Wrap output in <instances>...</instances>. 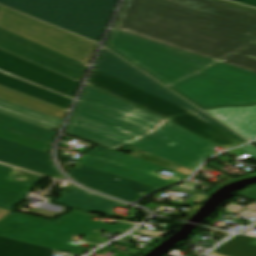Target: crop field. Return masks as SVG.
<instances>
[{"instance_id": "8a807250", "label": "crop field", "mask_w": 256, "mask_h": 256, "mask_svg": "<svg viewBox=\"0 0 256 256\" xmlns=\"http://www.w3.org/2000/svg\"><path fill=\"white\" fill-rule=\"evenodd\" d=\"M112 29L217 61L256 41V12L215 0H125Z\"/></svg>"}, {"instance_id": "ac0d7876", "label": "crop field", "mask_w": 256, "mask_h": 256, "mask_svg": "<svg viewBox=\"0 0 256 256\" xmlns=\"http://www.w3.org/2000/svg\"><path fill=\"white\" fill-rule=\"evenodd\" d=\"M164 120L87 86L66 134L114 151L129 143L192 170L216 154L217 146L168 120L132 142Z\"/></svg>"}, {"instance_id": "34b2d1b8", "label": "crop field", "mask_w": 256, "mask_h": 256, "mask_svg": "<svg viewBox=\"0 0 256 256\" xmlns=\"http://www.w3.org/2000/svg\"><path fill=\"white\" fill-rule=\"evenodd\" d=\"M90 217V213L76 211L53 223L19 214H8L0 221V236L81 255L88 249L67 244L76 236L81 235L86 241L100 244L101 242L90 240L98 232L122 234L134 225L122 222L116 226L97 223L88 220Z\"/></svg>"}, {"instance_id": "412701ff", "label": "crop field", "mask_w": 256, "mask_h": 256, "mask_svg": "<svg viewBox=\"0 0 256 256\" xmlns=\"http://www.w3.org/2000/svg\"><path fill=\"white\" fill-rule=\"evenodd\" d=\"M117 1L0 0V4L99 42Z\"/></svg>"}, {"instance_id": "f4fd0767", "label": "crop field", "mask_w": 256, "mask_h": 256, "mask_svg": "<svg viewBox=\"0 0 256 256\" xmlns=\"http://www.w3.org/2000/svg\"><path fill=\"white\" fill-rule=\"evenodd\" d=\"M171 87L204 109L256 104V74L221 63Z\"/></svg>"}, {"instance_id": "dd49c442", "label": "crop field", "mask_w": 256, "mask_h": 256, "mask_svg": "<svg viewBox=\"0 0 256 256\" xmlns=\"http://www.w3.org/2000/svg\"><path fill=\"white\" fill-rule=\"evenodd\" d=\"M86 85L168 119L224 149L244 144L234 137L200 120L194 113L95 69H93Z\"/></svg>"}, {"instance_id": "e52e79f7", "label": "crop field", "mask_w": 256, "mask_h": 256, "mask_svg": "<svg viewBox=\"0 0 256 256\" xmlns=\"http://www.w3.org/2000/svg\"><path fill=\"white\" fill-rule=\"evenodd\" d=\"M105 46L166 85L215 62L113 30Z\"/></svg>"}, {"instance_id": "d8731c3e", "label": "crop field", "mask_w": 256, "mask_h": 256, "mask_svg": "<svg viewBox=\"0 0 256 256\" xmlns=\"http://www.w3.org/2000/svg\"><path fill=\"white\" fill-rule=\"evenodd\" d=\"M0 28L88 65L97 44L0 7Z\"/></svg>"}, {"instance_id": "5a996713", "label": "crop field", "mask_w": 256, "mask_h": 256, "mask_svg": "<svg viewBox=\"0 0 256 256\" xmlns=\"http://www.w3.org/2000/svg\"><path fill=\"white\" fill-rule=\"evenodd\" d=\"M94 68L135 87H138L144 91H147L153 95L163 98L169 102H172L178 106H181L191 112H194L200 119L210 123L211 125L223 130L224 132L245 143L247 142L105 49L102 50Z\"/></svg>"}, {"instance_id": "3316defc", "label": "crop field", "mask_w": 256, "mask_h": 256, "mask_svg": "<svg viewBox=\"0 0 256 256\" xmlns=\"http://www.w3.org/2000/svg\"><path fill=\"white\" fill-rule=\"evenodd\" d=\"M0 49L43 66L66 77L81 81L86 66L0 29Z\"/></svg>"}, {"instance_id": "28ad6ade", "label": "crop field", "mask_w": 256, "mask_h": 256, "mask_svg": "<svg viewBox=\"0 0 256 256\" xmlns=\"http://www.w3.org/2000/svg\"><path fill=\"white\" fill-rule=\"evenodd\" d=\"M78 182L103 193L131 202L156 189L130 179L109 174L81 164L68 173Z\"/></svg>"}, {"instance_id": "d1516ede", "label": "crop field", "mask_w": 256, "mask_h": 256, "mask_svg": "<svg viewBox=\"0 0 256 256\" xmlns=\"http://www.w3.org/2000/svg\"><path fill=\"white\" fill-rule=\"evenodd\" d=\"M0 70L73 97L78 82L0 50Z\"/></svg>"}, {"instance_id": "22f410ed", "label": "crop field", "mask_w": 256, "mask_h": 256, "mask_svg": "<svg viewBox=\"0 0 256 256\" xmlns=\"http://www.w3.org/2000/svg\"><path fill=\"white\" fill-rule=\"evenodd\" d=\"M0 160L65 179L53 166L50 154L0 138Z\"/></svg>"}, {"instance_id": "cbeb9de0", "label": "crop field", "mask_w": 256, "mask_h": 256, "mask_svg": "<svg viewBox=\"0 0 256 256\" xmlns=\"http://www.w3.org/2000/svg\"><path fill=\"white\" fill-rule=\"evenodd\" d=\"M75 162H79L81 164H84L90 167H94L106 172H110L116 175L130 178V179H133L151 186H155L158 188L178 182V180H166L150 172L142 171V170H139L130 166L122 165V164H116V163L92 158L86 155L77 159Z\"/></svg>"}, {"instance_id": "5142ce71", "label": "crop field", "mask_w": 256, "mask_h": 256, "mask_svg": "<svg viewBox=\"0 0 256 256\" xmlns=\"http://www.w3.org/2000/svg\"><path fill=\"white\" fill-rule=\"evenodd\" d=\"M207 112L249 140L256 138V106L225 107Z\"/></svg>"}, {"instance_id": "d9b57169", "label": "crop field", "mask_w": 256, "mask_h": 256, "mask_svg": "<svg viewBox=\"0 0 256 256\" xmlns=\"http://www.w3.org/2000/svg\"><path fill=\"white\" fill-rule=\"evenodd\" d=\"M55 202L76 208L79 207L86 211H100L109 216H114L117 213L114 212V208L119 206L127 209L128 206L114 202L112 200L102 198L96 195H92L80 188H76L72 192H61V196L58 197Z\"/></svg>"}, {"instance_id": "733c2abd", "label": "crop field", "mask_w": 256, "mask_h": 256, "mask_svg": "<svg viewBox=\"0 0 256 256\" xmlns=\"http://www.w3.org/2000/svg\"><path fill=\"white\" fill-rule=\"evenodd\" d=\"M15 169L0 165V209L11 211L34 187L33 184L10 179Z\"/></svg>"}, {"instance_id": "4a817a6b", "label": "crop field", "mask_w": 256, "mask_h": 256, "mask_svg": "<svg viewBox=\"0 0 256 256\" xmlns=\"http://www.w3.org/2000/svg\"><path fill=\"white\" fill-rule=\"evenodd\" d=\"M0 85L68 109L71 99L0 72Z\"/></svg>"}, {"instance_id": "bc2a9ffb", "label": "crop field", "mask_w": 256, "mask_h": 256, "mask_svg": "<svg viewBox=\"0 0 256 256\" xmlns=\"http://www.w3.org/2000/svg\"><path fill=\"white\" fill-rule=\"evenodd\" d=\"M0 98L61 120L67 111L61 107L52 105L50 103L41 101L39 99L30 97L3 86H0Z\"/></svg>"}, {"instance_id": "214f88e0", "label": "crop field", "mask_w": 256, "mask_h": 256, "mask_svg": "<svg viewBox=\"0 0 256 256\" xmlns=\"http://www.w3.org/2000/svg\"><path fill=\"white\" fill-rule=\"evenodd\" d=\"M0 127L50 144L57 133L2 113H0Z\"/></svg>"}, {"instance_id": "92a150f3", "label": "crop field", "mask_w": 256, "mask_h": 256, "mask_svg": "<svg viewBox=\"0 0 256 256\" xmlns=\"http://www.w3.org/2000/svg\"><path fill=\"white\" fill-rule=\"evenodd\" d=\"M86 155L104 159V160H108V161H112V162L130 165V166H133V167H136L139 169H143V170H147L150 172H154L158 169L166 170V171L176 174L175 177H177L181 180L188 177L186 175H183L178 172L169 170L167 168L158 166L156 164H153V163L141 160V159H137V158H134V157H131L128 155L120 154V153L108 150V149L100 147V146H98V147L94 148L93 150H91L90 152L86 153Z\"/></svg>"}, {"instance_id": "dafd665d", "label": "crop field", "mask_w": 256, "mask_h": 256, "mask_svg": "<svg viewBox=\"0 0 256 256\" xmlns=\"http://www.w3.org/2000/svg\"><path fill=\"white\" fill-rule=\"evenodd\" d=\"M0 112L35 123L37 125L60 131L62 122L61 120L49 117L47 115L29 110L19 105L10 103L0 99Z\"/></svg>"}, {"instance_id": "00972430", "label": "crop field", "mask_w": 256, "mask_h": 256, "mask_svg": "<svg viewBox=\"0 0 256 256\" xmlns=\"http://www.w3.org/2000/svg\"><path fill=\"white\" fill-rule=\"evenodd\" d=\"M54 250L0 237V256H52Z\"/></svg>"}, {"instance_id": "a9b5d70f", "label": "crop field", "mask_w": 256, "mask_h": 256, "mask_svg": "<svg viewBox=\"0 0 256 256\" xmlns=\"http://www.w3.org/2000/svg\"><path fill=\"white\" fill-rule=\"evenodd\" d=\"M253 237L238 235L214 252L228 256H256V246L249 245Z\"/></svg>"}, {"instance_id": "4177f3b9", "label": "crop field", "mask_w": 256, "mask_h": 256, "mask_svg": "<svg viewBox=\"0 0 256 256\" xmlns=\"http://www.w3.org/2000/svg\"><path fill=\"white\" fill-rule=\"evenodd\" d=\"M219 62L256 73V43Z\"/></svg>"}, {"instance_id": "730fd06b", "label": "crop field", "mask_w": 256, "mask_h": 256, "mask_svg": "<svg viewBox=\"0 0 256 256\" xmlns=\"http://www.w3.org/2000/svg\"><path fill=\"white\" fill-rule=\"evenodd\" d=\"M0 137L47 153H49L51 148L50 144L40 142L4 129H0Z\"/></svg>"}, {"instance_id": "eef30255", "label": "crop field", "mask_w": 256, "mask_h": 256, "mask_svg": "<svg viewBox=\"0 0 256 256\" xmlns=\"http://www.w3.org/2000/svg\"><path fill=\"white\" fill-rule=\"evenodd\" d=\"M238 195L256 201V187L244 190Z\"/></svg>"}, {"instance_id": "ae1a2a85", "label": "crop field", "mask_w": 256, "mask_h": 256, "mask_svg": "<svg viewBox=\"0 0 256 256\" xmlns=\"http://www.w3.org/2000/svg\"><path fill=\"white\" fill-rule=\"evenodd\" d=\"M137 233L150 235V236H154V237H158V238H161L163 235H165L164 233L152 232V231H147V230H143V229L138 230Z\"/></svg>"}, {"instance_id": "d3111659", "label": "crop field", "mask_w": 256, "mask_h": 256, "mask_svg": "<svg viewBox=\"0 0 256 256\" xmlns=\"http://www.w3.org/2000/svg\"><path fill=\"white\" fill-rule=\"evenodd\" d=\"M174 189V188H173ZM191 193V192H190ZM192 194H194V196H193V198L192 199H190V200H188L187 202H191V203H200V202H202L204 199H205V197L206 196H200V195H197V194H195V193H192Z\"/></svg>"}, {"instance_id": "750c4746", "label": "crop field", "mask_w": 256, "mask_h": 256, "mask_svg": "<svg viewBox=\"0 0 256 256\" xmlns=\"http://www.w3.org/2000/svg\"><path fill=\"white\" fill-rule=\"evenodd\" d=\"M242 149H244L245 151L249 152L250 154L256 157V147L253 146L252 144L242 147Z\"/></svg>"}, {"instance_id": "bd1437ed", "label": "crop field", "mask_w": 256, "mask_h": 256, "mask_svg": "<svg viewBox=\"0 0 256 256\" xmlns=\"http://www.w3.org/2000/svg\"><path fill=\"white\" fill-rule=\"evenodd\" d=\"M232 1L240 2V3H244V4H248L256 7V0H232Z\"/></svg>"}, {"instance_id": "1d83c4d3", "label": "crop field", "mask_w": 256, "mask_h": 256, "mask_svg": "<svg viewBox=\"0 0 256 256\" xmlns=\"http://www.w3.org/2000/svg\"><path fill=\"white\" fill-rule=\"evenodd\" d=\"M213 232L221 233V234H224V235H227V234H228V233H226V232H223V231H217V230H214Z\"/></svg>"}, {"instance_id": "120bbe31", "label": "crop field", "mask_w": 256, "mask_h": 256, "mask_svg": "<svg viewBox=\"0 0 256 256\" xmlns=\"http://www.w3.org/2000/svg\"><path fill=\"white\" fill-rule=\"evenodd\" d=\"M210 255L211 256H223V255H220V254H217V253H214V252H212Z\"/></svg>"}, {"instance_id": "d32e631a", "label": "crop field", "mask_w": 256, "mask_h": 256, "mask_svg": "<svg viewBox=\"0 0 256 256\" xmlns=\"http://www.w3.org/2000/svg\"><path fill=\"white\" fill-rule=\"evenodd\" d=\"M6 212V210H0V216L3 215Z\"/></svg>"}, {"instance_id": "5866460e", "label": "crop field", "mask_w": 256, "mask_h": 256, "mask_svg": "<svg viewBox=\"0 0 256 256\" xmlns=\"http://www.w3.org/2000/svg\"><path fill=\"white\" fill-rule=\"evenodd\" d=\"M256 143V142H255Z\"/></svg>"}]
</instances>
